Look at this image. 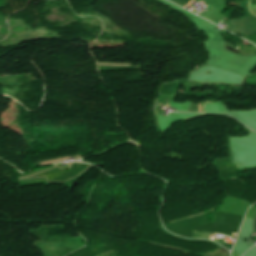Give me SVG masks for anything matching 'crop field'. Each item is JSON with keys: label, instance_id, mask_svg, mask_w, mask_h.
<instances>
[{"label": "crop field", "instance_id": "obj_4", "mask_svg": "<svg viewBox=\"0 0 256 256\" xmlns=\"http://www.w3.org/2000/svg\"><path fill=\"white\" fill-rule=\"evenodd\" d=\"M254 232V231H253ZM254 233H256V232H254Z\"/></svg>", "mask_w": 256, "mask_h": 256}, {"label": "crop field", "instance_id": "obj_3", "mask_svg": "<svg viewBox=\"0 0 256 256\" xmlns=\"http://www.w3.org/2000/svg\"><path fill=\"white\" fill-rule=\"evenodd\" d=\"M171 1L177 3V4L181 5V6H184L189 0H171ZM192 2H193L192 0H191L190 2H188V3L184 6V8H186L187 6H189Z\"/></svg>", "mask_w": 256, "mask_h": 256}, {"label": "crop field", "instance_id": "obj_1", "mask_svg": "<svg viewBox=\"0 0 256 256\" xmlns=\"http://www.w3.org/2000/svg\"><path fill=\"white\" fill-rule=\"evenodd\" d=\"M251 24L253 26L254 32L256 33V17H249ZM249 18L237 19L235 21L230 20L229 22V31L235 33H254L252 26L250 24Z\"/></svg>", "mask_w": 256, "mask_h": 256}, {"label": "crop field", "instance_id": "obj_2", "mask_svg": "<svg viewBox=\"0 0 256 256\" xmlns=\"http://www.w3.org/2000/svg\"><path fill=\"white\" fill-rule=\"evenodd\" d=\"M186 112H198V105L190 104L186 110ZM199 112H201V104H199Z\"/></svg>", "mask_w": 256, "mask_h": 256}]
</instances>
